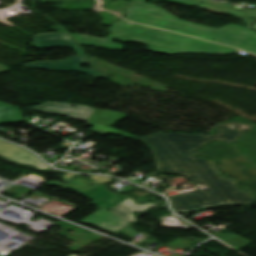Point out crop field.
Here are the masks:
<instances>
[{
	"label": "crop field",
	"mask_w": 256,
	"mask_h": 256,
	"mask_svg": "<svg viewBox=\"0 0 256 256\" xmlns=\"http://www.w3.org/2000/svg\"><path fill=\"white\" fill-rule=\"evenodd\" d=\"M254 125L234 121L219 123L216 135L155 133L140 138L154 151L159 172L176 173L189 178L199 191L171 197L172 208L178 212L201 211L222 205H247L256 200L237 188V182L219 175L212 162L194 158L191 152L213 140L234 142ZM139 139V140H140Z\"/></svg>",
	"instance_id": "1"
},
{
	"label": "crop field",
	"mask_w": 256,
	"mask_h": 256,
	"mask_svg": "<svg viewBox=\"0 0 256 256\" xmlns=\"http://www.w3.org/2000/svg\"><path fill=\"white\" fill-rule=\"evenodd\" d=\"M147 0H131L125 19L177 33L199 37L256 54V32L237 25L211 28L181 20L157 5L144 4Z\"/></svg>",
	"instance_id": "2"
},
{
	"label": "crop field",
	"mask_w": 256,
	"mask_h": 256,
	"mask_svg": "<svg viewBox=\"0 0 256 256\" xmlns=\"http://www.w3.org/2000/svg\"><path fill=\"white\" fill-rule=\"evenodd\" d=\"M108 31L112 32L108 37L124 43L146 44L150 50L164 54H233L238 51L236 48L134 24L124 19L113 24Z\"/></svg>",
	"instance_id": "3"
},
{
	"label": "crop field",
	"mask_w": 256,
	"mask_h": 256,
	"mask_svg": "<svg viewBox=\"0 0 256 256\" xmlns=\"http://www.w3.org/2000/svg\"><path fill=\"white\" fill-rule=\"evenodd\" d=\"M32 41L35 43L32 44V47L35 48H49V47H67L74 48L77 55L76 57L69 58L66 61L62 62H51V61H38L33 63L25 64L24 66L29 68H41L49 69L55 71H81L88 75H91L95 78L105 75L101 72H98L94 69H84L79 65L88 64L84 51H82L75 41L69 37L66 33H46L40 34L33 37Z\"/></svg>",
	"instance_id": "4"
},
{
	"label": "crop field",
	"mask_w": 256,
	"mask_h": 256,
	"mask_svg": "<svg viewBox=\"0 0 256 256\" xmlns=\"http://www.w3.org/2000/svg\"><path fill=\"white\" fill-rule=\"evenodd\" d=\"M0 156L32 166L42 170L50 169L33 154L16 145L0 141Z\"/></svg>",
	"instance_id": "5"
},
{
	"label": "crop field",
	"mask_w": 256,
	"mask_h": 256,
	"mask_svg": "<svg viewBox=\"0 0 256 256\" xmlns=\"http://www.w3.org/2000/svg\"><path fill=\"white\" fill-rule=\"evenodd\" d=\"M80 222H83L85 224H97L98 227L112 233L130 224L126 220L104 209L93 213L92 215L88 216Z\"/></svg>",
	"instance_id": "6"
},
{
	"label": "crop field",
	"mask_w": 256,
	"mask_h": 256,
	"mask_svg": "<svg viewBox=\"0 0 256 256\" xmlns=\"http://www.w3.org/2000/svg\"><path fill=\"white\" fill-rule=\"evenodd\" d=\"M104 187L105 185L98 186L83 193L82 195L91 199L94 206L105 208L107 210L127 198L125 196L115 195L112 192H108Z\"/></svg>",
	"instance_id": "7"
},
{
	"label": "crop field",
	"mask_w": 256,
	"mask_h": 256,
	"mask_svg": "<svg viewBox=\"0 0 256 256\" xmlns=\"http://www.w3.org/2000/svg\"><path fill=\"white\" fill-rule=\"evenodd\" d=\"M43 107H48V108H56V109H65V110H74V111H82V112H87L86 114L82 113H75V112H68V111H61V110H54V109H47ZM34 110L41 111V112H46V113H56L59 115H65V116H72L76 117L85 121H88L90 115L93 112V108L88 107V106H83L79 105L77 107H72V105L69 104H62V103H53V102H47L39 107L35 108Z\"/></svg>",
	"instance_id": "8"
},
{
	"label": "crop field",
	"mask_w": 256,
	"mask_h": 256,
	"mask_svg": "<svg viewBox=\"0 0 256 256\" xmlns=\"http://www.w3.org/2000/svg\"><path fill=\"white\" fill-rule=\"evenodd\" d=\"M145 204H148V206L142 205H136L133 201L132 198L128 197L126 200L123 202L117 204L113 208H111L109 211L119 215L120 217L126 219L130 223L135 222V217L132 214V212H142L146 208H150L153 206H157L158 204L152 203V202H147Z\"/></svg>",
	"instance_id": "9"
},
{
	"label": "crop field",
	"mask_w": 256,
	"mask_h": 256,
	"mask_svg": "<svg viewBox=\"0 0 256 256\" xmlns=\"http://www.w3.org/2000/svg\"><path fill=\"white\" fill-rule=\"evenodd\" d=\"M81 45L96 46L101 48L119 49L124 44H118L113 42L111 38H100L82 34H72Z\"/></svg>",
	"instance_id": "10"
},
{
	"label": "crop field",
	"mask_w": 256,
	"mask_h": 256,
	"mask_svg": "<svg viewBox=\"0 0 256 256\" xmlns=\"http://www.w3.org/2000/svg\"><path fill=\"white\" fill-rule=\"evenodd\" d=\"M21 121L22 117L19 108L0 102V123Z\"/></svg>",
	"instance_id": "11"
},
{
	"label": "crop field",
	"mask_w": 256,
	"mask_h": 256,
	"mask_svg": "<svg viewBox=\"0 0 256 256\" xmlns=\"http://www.w3.org/2000/svg\"><path fill=\"white\" fill-rule=\"evenodd\" d=\"M217 238L225 241L230 246H232L234 249L238 250L250 243V241L239 237L235 234H219L216 236Z\"/></svg>",
	"instance_id": "12"
},
{
	"label": "crop field",
	"mask_w": 256,
	"mask_h": 256,
	"mask_svg": "<svg viewBox=\"0 0 256 256\" xmlns=\"http://www.w3.org/2000/svg\"><path fill=\"white\" fill-rule=\"evenodd\" d=\"M68 188L75 190L79 193H82L90 188H92L91 186L87 185V181L86 179H82V178H75L73 179L67 186Z\"/></svg>",
	"instance_id": "13"
},
{
	"label": "crop field",
	"mask_w": 256,
	"mask_h": 256,
	"mask_svg": "<svg viewBox=\"0 0 256 256\" xmlns=\"http://www.w3.org/2000/svg\"><path fill=\"white\" fill-rule=\"evenodd\" d=\"M174 3H180V4H186L190 6H197L201 2L195 1V0H166Z\"/></svg>",
	"instance_id": "14"
},
{
	"label": "crop field",
	"mask_w": 256,
	"mask_h": 256,
	"mask_svg": "<svg viewBox=\"0 0 256 256\" xmlns=\"http://www.w3.org/2000/svg\"><path fill=\"white\" fill-rule=\"evenodd\" d=\"M91 179L97 180V182L91 181V182H93V183H105V182H107V181L110 180V178H108V177H102V176H95V177H91V176H90V180H91Z\"/></svg>",
	"instance_id": "15"
},
{
	"label": "crop field",
	"mask_w": 256,
	"mask_h": 256,
	"mask_svg": "<svg viewBox=\"0 0 256 256\" xmlns=\"http://www.w3.org/2000/svg\"><path fill=\"white\" fill-rule=\"evenodd\" d=\"M73 174L66 173V175L63 177L65 180H68Z\"/></svg>",
	"instance_id": "16"
},
{
	"label": "crop field",
	"mask_w": 256,
	"mask_h": 256,
	"mask_svg": "<svg viewBox=\"0 0 256 256\" xmlns=\"http://www.w3.org/2000/svg\"><path fill=\"white\" fill-rule=\"evenodd\" d=\"M55 1H61V0H42V3L55 2Z\"/></svg>",
	"instance_id": "17"
},
{
	"label": "crop field",
	"mask_w": 256,
	"mask_h": 256,
	"mask_svg": "<svg viewBox=\"0 0 256 256\" xmlns=\"http://www.w3.org/2000/svg\"><path fill=\"white\" fill-rule=\"evenodd\" d=\"M6 70H7V68L5 66L0 65V72L6 71Z\"/></svg>",
	"instance_id": "18"
},
{
	"label": "crop field",
	"mask_w": 256,
	"mask_h": 256,
	"mask_svg": "<svg viewBox=\"0 0 256 256\" xmlns=\"http://www.w3.org/2000/svg\"><path fill=\"white\" fill-rule=\"evenodd\" d=\"M253 30H256V25H255V27H254V29Z\"/></svg>",
	"instance_id": "19"
}]
</instances>
